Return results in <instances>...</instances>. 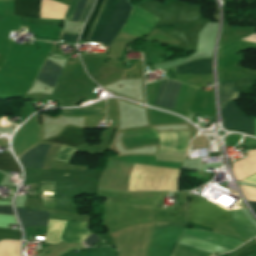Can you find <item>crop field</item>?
<instances>
[{
  "instance_id": "obj_20",
  "label": "crop field",
  "mask_w": 256,
  "mask_h": 256,
  "mask_svg": "<svg viewBox=\"0 0 256 256\" xmlns=\"http://www.w3.org/2000/svg\"><path fill=\"white\" fill-rule=\"evenodd\" d=\"M2 239H21V232L16 231H8V230H0V240Z\"/></svg>"
},
{
  "instance_id": "obj_19",
  "label": "crop field",
  "mask_w": 256,
  "mask_h": 256,
  "mask_svg": "<svg viewBox=\"0 0 256 256\" xmlns=\"http://www.w3.org/2000/svg\"><path fill=\"white\" fill-rule=\"evenodd\" d=\"M0 170L20 172L19 166L15 163L10 153H0Z\"/></svg>"
},
{
  "instance_id": "obj_22",
  "label": "crop field",
  "mask_w": 256,
  "mask_h": 256,
  "mask_svg": "<svg viewBox=\"0 0 256 256\" xmlns=\"http://www.w3.org/2000/svg\"><path fill=\"white\" fill-rule=\"evenodd\" d=\"M78 35L68 34V33H62L60 36L61 41L65 42H72L75 43Z\"/></svg>"
},
{
  "instance_id": "obj_16",
  "label": "crop field",
  "mask_w": 256,
  "mask_h": 256,
  "mask_svg": "<svg viewBox=\"0 0 256 256\" xmlns=\"http://www.w3.org/2000/svg\"><path fill=\"white\" fill-rule=\"evenodd\" d=\"M61 115H71V116H105V109H71V110H62Z\"/></svg>"
},
{
  "instance_id": "obj_23",
  "label": "crop field",
  "mask_w": 256,
  "mask_h": 256,
  "mask_svg": "<svg viewBox=\"0 0 256 256\" xmlns=\"http://www.w3.org/2000/svg\"><path fill=\"white\" fill-rule=\"evenodd\" d=\"M0 214L14 215L11 206H0Z\"/></svg>"
},
{
  "instance_id": "obj_21",
  "label": "crop field",
  "mask_w": 256,
  "mask_h": 256,
  "mask_svg": "<svg viewBox=\"0 0 256 256\" xmlns=\"http://www.w3.org/2000/svg\"><path fill=\"white\" fill-rule=\"evenodd\" d=\"M241 182L244 183H249V184H255L256 185V174L242 180ZM247 201L251 204V206L255 209L256 211V200H249L247 199Z\"/></svg>"
},
{
  "instance_id": "obj_5",
  "label": "crop field",
  "mask_w": 256,
  "mask_h": 256,
  "mask_svg": "<svg viewBox=\"0 0 256 256\" xmlns=\"http://www.w3.org/2000/svg\"><path fill=\"white\" fill-rule=\"evenodd\" d=\"M223 128L228 131L240 132L253 136V120L239 110L234 101L220 109Z\"/></svg>"
},
{
  "instance_id": "obj_10",
  "label": "crop field",
  "mask_w": 256,
  "mask_h": 256,
  "mask_svg": "<svg viewBox=\"0 0 256 256\" xmlns=\"http://www.w3.org/2000/svg\"><path fill=\"white\" fill-rule=\"evenodd\" d=\"M86 141L87 139L85 137L84 129L68 127L57 137L43 142L59 143L75 147L79 144L85 143Z\"/></svg>"
},
{
  "instance_id": "obj_15",
  "label": "crop field",
  "mask_w": 256,
  "mask_h": 256,
  "mask_svg": "<svg viewBox=\"0 0 256 256\" xmlns=\"http://www.w3.org/2000/svg\"><path fill=\"white\" fill-rule=\"evenodd\" d=\"M221 107H224L232 100L239 99V94L235 90L234 83L231 81H223L219 84Z\"/></svg>"
},
{
  "instance_id": "obj_3",
  "label": "crop field",
  "mask_w": 256,
  "mask_h": 256,
  "mask_svg": "<svg viewBox=\"0 0 256 256\" xmlns=\"http://www.w3.org/2000/svg\"><path fill=\"white\" fill-rule=\"evenodd\" d=\"M184 226L185 223L154 222L147 256H169Z\"/></svg>"
},
{
  "instance_id": "obj_6",
  "label": "crop field",
  "mask_w": 256,
  "mask_h": 256,
  "mask_svg": "<svg viewBox=\"0 0 256 256\" xmlns=\"http://www.w3.org/2000/svg\"><path fill=\"white\" fill-rule=\"evenodd\" d=\"M159 19L134 6L121 32L137 37L147 34Z\"/></svg>"
},
{
  "instance_id": "obj_24",
  "label": "crop field",
  "mask_w": 256,
  "mask_h": 256,
  "mask_svg": "<svg viewBox=\"0 0 256 256\" xmlns=\"http://www.w3.org/2000/svg\"><path fill=\"white\" fill-rule=\"evenodd\" d=\"M46 237H47V235H46ZM45 241H46V239H45Z\"/></svg>"
},
{
  "instance_id": "obj_8",
  "label": "crop field",
  "mask_w": 256,
  "mask_h": 256,
  "mask_svg": "<svg viewBox=\"0 0 256 256\" xmlns=\"http://www.w3.org/2000/svg\"><path fill=\"white\" fill-rule=\"evenodd\" d=\"M181 85L179 82L163 80L160 84L154 105L173 109Z\"/></svg>"
},
{
  "instance_id": "obj_9",
  "label": "crop field",
  "mask_w": 256,
  "mask_h": 256,
  "mask_svg": "<svg viewBox=\"0 0 256 256\" xmlns=\"http://www.w3.org/2000/svg\"><path fill=\"white\" fill-rule=\"evenodd\" d=\"M160 134L159 150L186 152L189 146L188 131Z\"/></svg>"
},
{
  "instance_id": "obj_14",
  "label": "crop field",
  "mask_w": 256,
  "mask_h": 256,
  "mask_svg": "<svg viewBox=\"0 0 256 256\" xmlns=\"http://www.w3.org/2000/svg\"><path fill=\"white\" fill-rule=\"evenodd\" d=\"M61 69L62 67L46 59L36 80L52 88L61 73Z\"/></svg>"
},
{
  "instance_id": "obj_13",
  "label": "crop field",
  "mask_w": 256,
  "mask_h": 256,
  "mask_svg": "<svg viewBox=\"0 0 256 256\" xmlns=\"http://www.w3.org/2000/svg\"><path fill=\"white\" fill-rule=\"evenodd\" d=\"M177 74H211V60H195L175 67Z\"/></svg>"
},
{
  "instance_id": "obj_2",
  "label": "crop field",
  "mask_w": 256,
  "mask_h": 256,
  "mask_svg": "<svg viewBox=\"0 0 256 256\" xmlns=\"http://www.w3.org/2000/svg\"><path fill=\"white\" fill-rule=\"evenodd\" d=\"M104 2L105 0H96L80 39H88ZM130 11L131 7L128 6L126 0H107L89 40L102 42V46L109 47L124 25Z\"/></svg>"
},
{
  "instance_id": "obj_11",
  "label": "crop field",
  "mask_w": 256,
  "mask_h": 256,
  "mask_svg": "<svg viewBox=\"0 0 256 256\" xmlns=\"http://www.w3.org/2000/svg\"><path fill=\"white\" fill-rule=\"evenodd\" d=\"M15 209L24 230L25 227L47 226L48 224V212L30 211L19 208Z\"/></svg>"
},
{
  "instance_id": "obj_7",
  "label": "crop field",
  "mask_w": 256,
  "mask_h": 256,
  "mask_svg": "<svg viewBox=\"0 0 256 256\" xmlns=\"http://www.w3.org/2000/svg\"><path fill=\"white\" fill-rule=\"evenodd\" d=\"M52 146L40 143L37 147L29 150L18 159L24 169H42Z\"/></svg>"
},
{
  "instance_id": "obj_12",
  "label": "crop field",
  "mask_w": 256,
  "mask_h": 256,
  "mask_svg": "<svg viewBox=\"0 0 256 256\" xmlns=\"http://www.w3.org/2000/svg\"><path fill=\"white\" fill-rule=\"evenodd\" d=\"M41 0H14V15L39 18Z\"/></svg>"
},
{
  "instance_id": "obj_17",
  "label": "crop field",
  "mask_w": 256,
  "mask_h": 256,
  "mask_svg": "<svg viewBox=\"0 0 256 256\" xmlns=\"http://www.w3.org/2000/svg\"><path fill=\"white\" fill-rule=\"evenodd\" d=\"M156 137H158V134L154 130H145L134 133H128L125 136L124 143L136 142Z\"/></svg>"
},
{
  "instance_id": "obj_18",
  "label": "crop field",
  "mask_w": 256,
  "mask_h": 256,
  "mask_svg": "<svg viewBox=\"0 0 256 256\" xmlns=\"http://www.w3.org/2000/svg\"><path fill=\"white\" fill-rule=\"evenodd\" d=\"M85 1L86 0H78V3H77V0H72L70 7L67 11V14L65 16V20H71L72 15L75 10L76 3H77V7H76L75 13H74L71 21L78 22L80 19L81 13L83 11V8H84Z\"/></svg>"
},
{
  "instance_id": "obj_1",
  "label": "crop field",
  "mask_w": 256,
  "mask_h": 256,
  "mask_svg": "<svg viewBox=\"0 0 256 256\" xmlns=\"http://www.w3.org/2000/svg\"><path fill=\"white\" fill-rule=\"evenodd\" d=\"M234 224L239 228V230L245 235L246 238L250 239L256 236V229L250 223V221L246 218V216L242 213L241 210L228 212ZM184 234L194 236L203 240H207L213 243H217L226 247H230L233 249L238 248L243 242L213 233L207 232L203 230L196 229H185ZM182 236L179 244H183L189 247H193L199 250H203L209 253H227L233 249L226 248L217 244H213L207 241H203L194 237H190L187 235ZM177 245L172 256H211L213 254H209L203 251H199L193 248H189L183 245ZM219 254V253H217ZM216 254V255H217Z\"/></svg>"
},
{
  "instance_id": "obj_4",
  "label": "crop field",
  "mask_w": 256,
  "mask_h": 256,
  "mask_svg": "<svg viewBox=\"0 0 256 256\" xmlns=\"http://www.w3.org/2000/svg\"><path fill=\"white\" fill-rule=\"evenodd\" d=\"M188 221L213 228L216 222L231 220L227 211L190 193Z\"/></svg>"
}]
</instances>
